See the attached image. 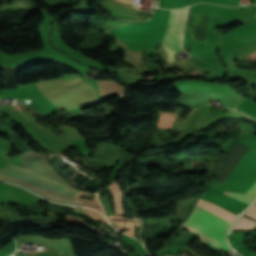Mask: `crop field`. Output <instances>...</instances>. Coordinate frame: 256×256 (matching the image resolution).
Wrapping results in <instances>:
<instances>
[{
	"instance_id": "crop-field-6",
	"label": "crop field",
	"mask_w": 256,
	"mask_h": 256,
	"mask_svg": "<svg viewBox=\"0 0 256 256\" xmlns=\"http://www.w3.org/2000/svg\"><path fill=\"white\" fill-rule=\"evenodd\" d=\"M224 194L230 196V197H233L239 201H242L248 205H250L254 200H255V197H252V196H249V195H246V194H240V193H229V192H224Z\"/></svg>"
},
{
	"instance_id": "crop-field-5",
	"label": "crop field",
	"mask_w": 256,
	"mask_h": 256,
	"mask_svg": "<svg viewBox=\"0 0 256 256\" xmlns=\"http://www.w3.org/2000/svg\"><path fill=\"white\" fill-rule=\"evenodd\" d=\"M197 204L202 206L203 208L211 211V212L216 213L217 215H219V216H221V217H223V218H225V219H227V220H229L231 222L236 217V215H233V214H231V213H229V212H227V211H225V210H223V209H221V208H219L217 206H214V205H212V204H210V203H208V202H206L204 200L200 199Z\"/></svg>"
},
{
	"instance_id": "crop-field-1",
	"label": "crop field",
	"mask_w": 256,
	"mask_h": 256,
	"mask_svg": "<svg viewBox=\"0 0 256 256\" xmlns=\"http://www.w3.org/2000/svg\"><path fill=\"white\" fill-rule=\"evenodd\" d=\"M232 226L227 220L195 205L190 217L181 228L199 234L201 241L212 245L217 250L221 247L227 253L233 251L226 236Z\"/></svg>"
},
{
	"instance_id": "crop-field-3",
	"label": "crop field",
	"mask_w": 256,
	"mask_h": 256,
	"mask_svg": "<svg viewBox=\"0 0 256 256\" xmlns=\"http://www.w3.org/2000/svg\"><path fill=\"white\" fill-rule=\"evenodd\" d=\"M246 215L254 220H256V204H253L249 209H247L244 213L243 216ZM240 217L238 222L236 223L235 227L233 228V230L236 229H242V230H250L253 227L256 226V223L246 219L244 217Z\"/></svg>"
},
{
	"instance_id": "crop-field-2",
	"label": "crop field",
	"mask_w": 256,
	"mask_h": 256,
	"mask_svg": "<svg viewBox=\"0 0 256 256\" xmlns=\"http://www.w3.org/2000/svg\"><path fill=\"white\" fill-rule=\"evenodd\" d=\"M187 7L172 11L162 45L167 62L177 60L175 55L181 50L183 29L186 21Z\"/></svg>"
},
{
	"instance_id": "crop-field-8",
	"label": "crop field",
	"mask_w": 256,
	"mask_h": 256,
	"mask_svg": "<svg viewBox=\"0 0 256 256\" xmlns=\"http://www.w3.org/2000/svg\"><path fill=\"white\" fill-rule=\"evenodd\" d=\"M246 58L256 60V52H254V53L248 55Z\"/></svg>"
},
{
	"instance_id": "crop-field-7",
	"label": "crop field",
	"mask_w": 256,
	"mask_h": 256,
	"mask_svg": "<svg viewBox=\"0 0 256 256\" xmlns=\"http://www.w3.org/2000/svg\"><path fill=\"white\" fill-rule=\"evenodd\" d=\"M248 194L256 195V183L247 192Z\"/></svg>"
},
{
	"instance_id": "crop-field-4",
	"label": "crop field",
	"mask_w": 256,
	"mask_h": 256,
	"mask_svg": "<svg viewBox=\"0 0 256 256\" xmlns=\"http://www.w3.org/2000/svg\"><path fill=\"white\" fill-rule=\"evenodd\" d=\"M110 192L112 194L114 209L116 214H125L124 208L122 206V191L117 184V182H113L112 184L108 185Z\"/></svg>"
},
{
	"instance_id": "crop-field-9",
	"label": "crop field",
	"mask_w": 256,
	"mask_h": 256,
	"mask_svg": "<svg viewBox=\"0 0 256 256\" xmlns=\"http://www.w3.org/2000/svg\"><path fill=\"white\" fill-rule=\"evenodd\" d=\"M120 1H123V2H125V3H131V4H132V1H133V0H120Z\"/></svg>"
}]
</instances>
